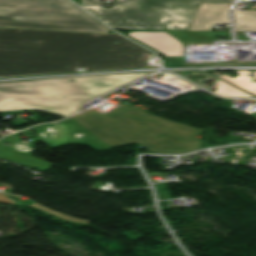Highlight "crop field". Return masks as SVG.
Returning a JSON list of instances; mask_svg holds the SVG:
<instances>
[{"instance_id":"1","label":"crop field","mask_w":256,"mask_h":256,"mask_svg":"<svg viewBox=\"0 0 256 256\" xmlns=\"http://www.w3.org/2000/svg\"><path fill=\"white\" fill-rule=\"evenodd\" d=\"M121 105V104H120ZM38 140L52 148L65 144L91 145L96 150L136 142L152 153H185L200 149L194 138L202 129L151 115L137 106L121 105L107 114L92 109L54 124L34 127ZM4 141L10 145L3 144ZM34 141L22 142L14 134L0 139V158L20 165L48 170L52 165L30 154Z\"/></svg>"},{"instance_id":"5","label":"crop field","mask_w":256,"mask_h":256,"mask_svg":"<svg viewBox=\"0 0 256 256\" xmlns=\"http://www.w3.org/2000/svg\"><path fill=\"white\" fill-rule=\"evenodd\" d=\"M83 8L112 28L162 29L142 14L138 0H116L112 9H103L100 6H83Z\"/></svg>"},{"instance_id":"9","label":"crop field","mask_w":256,"mask_h":256,"mask_svg":"<svg viewBox=\"0 0 256 256\" xmlns=\"http://www.w3.org/2000/svg\"><path fill=\"white\" fill-rule=\"evenodd\" d=\"M236 31H256V11L234 10Z\"/></svg>"},{"instance_id":"12","label":"crop field","mask_w":256,"mask_h":256,"mask_svg":"<svg viewBox=\"0 0 256 256\" xmlns=\"http://www.w3.org/2000/svg\"><path fill=\"white\" fill-rule=\"evenodd\" d=\"M0 202H4V203H14V202H12L9 198H7L5 195H3L2 193H0Z\"/></svg>"},{"instance_id":"6","label":"crop field","mask_w":256,"mask_h":256,"mask_svg":"<svg viewBox=\"0 0 256 256\" xmlns=\"http://www.w3.org/2000/svg\"><path fill=\"white\" fill-rule=\"evenodd\" d=\"M231 4L201 3L188 30H210L213 23L229 24Z\"/></svg>"},{"instance_id":"7","label":"crop field","mask_w":256,"mask_h":256,"mask_svg":"<svg viewBox=\"0 0 256 256\" xmlns=\"http://www.w3.org/2000/svg\"><path fill=\"white\" fill-rule=\"evenodd\" d=\"M197 9L143 10L165 29H187Z\"/></svg>"},{"instance_id":"10","label":"crop field","mask_w":256,"mask_h":256,"mask_svg":"<svg viewBox=\"0 0 256 256\" xmlns=\"http://www.w3.org/2000/svg\"><path fill=\"white\" fill-rule=\"evenodd\" d=\"M29 206L35 207V208H40V209H42L44 211H47L49 213H52V214H54V215H56V216H58L60 218H63V219L69 220V221L84 222V223H89L90 222V221H86V220H79V219L73 218L71 216H68V215H65V214H62V213H58V212L52 211V210H50L48 208H45V207H43L41 205H38L36 203H33V204L29 205Z\"/></svg>"},{"instance_id":"13","label":"crop field","mask_w":256,"mask_h":256,"mask_svg":"<svg viewBox=\"0 0 256 256\" xmlns=\"http://www.w3.org/2000/svg\"><path fill=\"white\" fill-rule=\"evenodd\" d=\"M219 1H234V0H219Z\"/></svg>"},{"instance_id":"3","label":"crop field","mask_w":256,"mask_h":256,"mask_svg":"<svg viewBox=\"0 0 256 256\" xmlns=\"http://www.w3.org/2000/svg\"><path fill=\"white\" fill-rule=\"evenodd\" d=\"M145 73L78 76L0 83V111L40 109L60 116Z\"/></svg>"},{"instance_id":"2","label":"crop field","mask_w":256,"mask_h":256,"mask_svg":"<svg viewBox=\"0 0 256 256\" xmlns=\"http://www.w3.org/2000/svg\"><path fill=\"white\" fill-rule=\"evenodd\" d=\"M151 56L118 34L0 28V77L139 68Z\"/></svg>"},{"instance_id":"8","label":"crop field","mask_w":256,"mask_h":256,"mask_svg":"<svg viewBox=\"0 0 256 256\" xmlns=\"http://www.w3.org/2000/svg\"><path fill=\"white\" fill-rule=\"evenodd\" d=\"M200 2L232 3L219 1L141 0L143 9L198 8Z\"/></svg>"},{"instance_id":"4","label":"crop field","mask_w":256,"mask_h":256,"mask_svg":"<svg viewBox=\"0 0 256 256\" xmlns=\"http://www.w3.org/2000/svg\"><path fill=\"white\" fill-rule=\"evenodd\" d=\"M0 27L108 33L69 0H0Z\"/></svg>"},{"instance_id":"11","label":"crop field","mask_w":256,"mask_h":256,"mask_svg":"<svg viewBox=\"0 0 256 256\" xmlns=\"http://www.w3.org/2000/svg\"><path fill=\"white\" fill-rule=\"evenodd\" d=\"M83 5L100 4L101 0H82Z\"/></svg>"}]
</instances>
